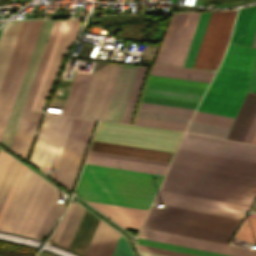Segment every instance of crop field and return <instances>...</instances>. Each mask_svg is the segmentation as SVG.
<instances>
[{"instance_id": "crop-field-1", "label": "crop field", "mask_w": 256, "mask_h": 256, "mask_svg": "<svg viewBox=\"0 0 256 256\" xmlns=\"http://www.w3.org/2000/svg\"><path fill=\"white\" fill-rule=\"evenodd\" d=\"M242 219L247 206L159 190L154 201ZM164 205L152 206L142 227L227 243L239 219ZM250 208V207H249Z\"/></svg>"}, {"instance_id": "crop-field-2", "label": "crop field", "mask_w": 256, "mask_h": 256, "mask_svg": "<svg viewBox=\"0 0 256 256\" xmlns=\"http://www.w3.org/2000/svg\"><path fill=\"white\" fill-rule=\"evenodd\" d=\"M162 177L85 164L76 194L87 201L147 209Z\"/></svg>"}, {"instance_id": "crop-field-3", "label": "crop field", "mask_w": 256, "mask_h": 256, "mask_svg": "<svg viewBox=\"0 0 256 256\" xmlns=\"http://www.w3.org/2000/svg\"><path fill=\"white\" fill-rule=\"evenodd\" d=\"M256 49L229 44L198 111L234 117L248 88Z\"/></svg>"}, {"instance_id": "crop-field-4", "label": "crop field", "mask_w": 256, "mask_h": 256, "mask_svg": "<svg viewBox=\"0 0 256 256\" xmlns=\"http://www.w3.org/2000/svg\"><path fill=\"white\" fill-rule=\"evenodd\" d=\"M57 191L27 170L0 229L34 238Z\"/></svg>"}, {"instance_id": "crop-field-5", "label": "crop field", "mask_w": 256, "mask_h": 256, "mask_svg": "<svg viewBox=\"0 0 256 256\" xmlns=\"http://www.w3.org/2000/svg\"><path fill=\"white\" fill-rule=\"evenodd\" d=\"M182 134L100 122L93 140L173 153Z\"/></svg>"}, {"instance_id": "crop-field-6", "label": "crop field", "mask_w": 256, "mask_h": 256, "mask_svg": "<svg viewBox=\"0 0 256 256\" xmlns=\"http://www.w3.org/2000/svg\"><path fill=\"white\" fill-rule=\"evenodd\" d=\"M73 118L46 114L29 162L53 177Z\"/></svg>"}, {"instance_id": "crop-field-7", "label": "crop field", "mask_w": 256, "mask_h": 256, "mask_svg": "<svg viewBox=\"0 0 256 256\" xmlns=\"http://www.w3.org/2000/svg\"><path fill=\"white\" fill-rule=\"evenodd\" d=\"M164 180L256 197V180L184 166L171 164Z\"/></svg>"}, {"instance_id": "crop-field-8", "label": "crop field", "mask_w": 256, "mask_h": 256, "mask_svg": "<svg viewBox=\"0 0 256 256\" xmlns=\"http://www.w3.org/2000/svg\"><path fill=\"white\" fill-rule=\"evenodd\" d=\"M95 122L93 120L73 119L53 177L70 191L75 182Z\"/></svg>"}, {"instance_id": "crop-field-9", "label": "crop field", "mask_w": 256, "mask_h": 256, "mask_svg": "<svg viewBox=\"0 0 256 256\" xmlns=\"http://www.w3.org/2000/svg\"><path fill=\"white\" fill-rule=\"evenodd\" d=\"M237 10L212 12L193 67L216 69L227 43Z\"/></svg>"}, {"instance_id": "crop-field-10", "label": "crop field", "mask_w": 256, "mask_h": 256, "mask_svg": "<svg viewBox=\"0 0 256 256\" xmlns=\"http://www.w3.org/2000/svg\"><path fill=\"white\" fill-rule=\"evenodd\" d=\"M120 66L95 63L79 117L104 119Z\"/></svg>"}, {"instance_id": "crop-field-11", "label": "crop field", "mask_w": 256, "mask_h": 256, "mask_svg": "<svg viewBox=\"0 0 256 256\" xmlns=\"http://www.w3.org/2000/svg\"><path fill=\"white\" fill-rule=\"evenodd\" d=\"M61 21H54L49 37L48 42L45 45L39 66L37 68L28 98L26 100L17 130L15 132L12 144L10 149H12L17 154L22 157H26L27 151L29 149L32 137L34 135L37 123L39 121L41 113L29 112L31 103L33 101L36 89L38 87L41 75L43 73L47 58L49 56L52 44L54 42L57 30L59 28Z\"/></svg>"}, {"instance_id": "crop-field-12", "label": "crop field", "mask_w": 256, "mask_h": 256, "mask_svg": "<svg viewBox=\"0 0 256 256\" xmlns=\"http://www.w3.org/2000/svg\"><path fill=\"white\" fill-rule=\"evenodd\" d=\"M171 163L256 179V163L196 151L178 148Z\"/></svg>"}, {"instance_id": "crop-field-13", "label": "crop field", "mask_w": 256, "mask_h": 256, "mask_svg": "<svg viewBox=\"0 0 256 256\" xmlns=\"http://www.w3.org/2000/svg\"><path fill=\"white\" fill-rule=\"evenodd\" d=\"M53 21H42L38 36L36 38L28 65L26 67L18 94L16 96L7 126L1 142L10 147L17 123L19 121L35 70L37 68L44 44L49 34Z\"/></svg>"}, {"instance_id": "crop-field-14", "label": "crop field", "mask_w": 256, "mask_h": 256, "mask_svg": "<svg viewBox=\"0 0 256 256\" xmlns=\"http://www.w3.org/2000/svg\"><path fill=\"white\" fill-rule=\"evenodd\" d=\"M180 148L256 162V146L185 133Z\"/></svg>"}, {"instance_id": "crop-field-15", "label": "crop field", "mask_w": 256, "mask_h": 256, "mask_svg": "<svg viewBox=\"0 0 256 256\" xmlns=\"http://www.w3.org/2000/svg\"><path fill=\"white\" fill-rule=\"evenodd\" d=\"M138 237L233 256H256V250L142 228Z\"/></svg>"}, {"instance_id": "crop-field-16", "label": "crop field", "mask_w": 256, "mask_h": 256, "mask_svg": "<svg viewBox=\"0 0 256 256\" xmlns=\"http://www.w3.org/2000/svg\"><path fill=\"white\" fill-rule=\"evenodd\" d=\"M82 19L66 20L63 30L61 32L55 53L53 55L47 76L45 78L39 99L37 101L34 111L41 112L45 99L54 83L61 59L74 40L80 26Z\"/></svg>"}, {"instance_id": "crop-field-17", "label": "crop field", "mask_w": 256, "mask_h": 256, "mask_svg": "<svg viewBox=\"0 0 256 256\" xmlns=\"http://www.w3.org/2000/svg\"><path fill=\"white\" fill-rule=\"evenodd\" d=\"M138 67L122 65L104 120L121 121Z\"/></svg>"}, {"instance_id": "crop-field-18", "label": "crop field", "mask_w": 256, "mask_h": 256, "mask_svg": "<svg viewBox=\"0 0 256 256\" xmlns=\"http://www.w3.org/2000/svg\"><path fill=\"white\" fill-rule=\"evenodd\" d=\"M160 189L209 198V199H215V200H220L225 202H231V203H236L241 205H247V206H250L252 201L254 200L253 197H247V196H242L237 194L209 190V189L182 185V184L166 182V181H163Z\"/></svg>"}, {"instance_id": "crop-field-19", "label": "crop field", "mask_w": 256, "mask_h": 256, "mask_svg": "<svg viewBox=\"0 0 256 256\" xmlns=\"http://www.w3.org/2000/svg\"><path fill=\"white\" fill-rule=\"evenodd\" d=\"M87 202V201H86ZM123 228L138 230L147 210L88 202Z\"/></svg>"}, {"instance_id": "crop-field-20", "label": "crop field", "mask_w": 256, "mask_h": 256, "mask_svg": "<svg viewBox=\"0 0 256 256\" xmlns=\"http://www.w3.org/2000/svg\"><path fill=\"white\" fill-rule=\"evenodd\" d=\"M187 14H172L155 62L171 63Z\"/></svg>"}, {"instance_id": "crop-field-21", "label": "crop field", "mask_w": 256, "mask_h": 256, "mask_svg": "<svg viewBox=\"0 0 256 256\" xmlns=\"http://www.w3.org/2000/svg\"><path fill=\"white\" fill-rule=\"evenodd\" d=\"M120 234L100 221L85 256H110Z\"/></svg>"}, {"instance_id": "crop-field-22", "label": "crop field", "mask_w": 256, "mask_h": 256, "mask_svg": "<svg viewBox=\"0 0 256 256\" xmlns=\"http://www.w3.org/2000/svg\"><path fill=\"white\" fill-rule=\"evenodd\" d=\"M255 32L256 6L239 9L230 42L251 46Z\"/></svg>"}, {"instance_id": "crop-field-23", "label": "crop field", "mask_w": 256, "mask_h": 256, "mask_svg": "<svg viewBox=\"0 0 256 256\" xmlns=\"http://www.w3.org/2000/svg\"><path fill=\"white\" fill-rule=\"evenodd\" d=\"M256 113V93L248 92L226 139L243 141Z\"/></svg>"}, {"instance_id": "crop-field-24", "label": "crop field", "mask_w": 256, "mask_h": 256, "mask_svg": "<svg viewBox=\"0 0 256 256\" xmlns=\"http://www.w3.org/2000/svg\"><path fill=\"white\" fill-rule=\"evenodd\" d=\"M89 150L169 162L170 153L93 141Z\"/></svg>"}, {"instance_id": "crop-field-25", "label": "crop field", "mask_w": 256, "mask_h": 256, "mask_svg": "<svg viewBox=\"0 0 256 256\" xmlns=\"http://www.w3.org/2000/svg\"><path fill=\"white\" fill-rule=\"evenodd\" d=\"M90 76L91 75L89 74L75 73L62 114L76 117L79 116Z\"/></svg>"}, {"instance_id": "crop-field-26", "label": "crop field", "mask_w": 256, "mask_h": 256, "mask_svg": "<svg viewBox=\"0 0 256 256\" xmlns=\"http://www.w3.org/2000/svg\"><path fill=\"white\" fill-rule=\"evenodd\" d=\"M23 21L8 22L0 36V85Z\"/></svg>"}, {"instance_id": "crop-field-27", "label": "crop field", "mask_w": 256, "mask_h": 256, "mask_svg": "<svg viewBox=\"0 0 256 256\" xmlns=\"http://www.w3.org/2000/svg\"><path fill=\"white\" fill-rule=\"evenodd\" d=\"M99 221L100 219L85 211L68 249L83 255Z\"/></svg>"}, {"instance_id": "crop-field-28", "label": "crop field", "mask_w": 256, "mask_h": 256, "mask_svg": "<svg viewBox=\"0 0 256 256\" xmlns=\"http://www.w3.org/2000/svg\"><path fill=\"white\" fill-rule=\"evenodd\" d=\"M85 163L101 165V166H108V167H115V168H123V169L148 172V173H154V174H160V175H163L167 168L164 166H157V165H151V164L137 163V162H131V161L104 158V157H97V156H91V155L87 156Z\"/></svg>"}, {"instance_id": "crop-field-29", "label": "crop field", "mask_w": 256, "mask_h": 256, "mask_svg": "<svg viewBox=\"0 0 256 256\" xmlns=\"http://www.w3.org/2000/svg\"><path fill=\"white\" fill-rule=\"evenodd\" d=\"M41 21H42V20H39V21L36 22V25H35V28H34V30H33V33H32L31 39H30V42H29V44H28V47H27L25 56H24V58H23V61H22L20 70H19V72H18V75H17L16 81H15L14 87H13V89H12V92H11V95H10V98H9V101H8V103H7V106H6L4 115H3V117H2V120H1V123H0V140H1V137H2V134H3V131H4V128H5V126H6V123H7V120H8V117H9V114H10V111H11V108H12V105H13V102H14V99H15V96H16V94H17V91H18V88H19V85H20V82H21V79H22V76H23L25 67H26V65H27V62H28V59H29V56H30V53H31V50H32V47H33V44H34V41H35V38H36V35H37V33H38V30H39ZM37 36H38V35H37Z\"/></svg>"}, {"instance_id": "crop-field-30", "label": "crop field", "mask_w": 256, "mask_h": 256, "mask_svg": "<svg viewBox=\"0 0 256 256\" xmlns=\"http://www.w3.org/2000/svg\"><path fill=\"white\" fill-rule=\"evenodd\" d=\"M200 13H189L171 64L183 65Z\"/></svg>"}, {"instance_id": "crop-field-31", "label": "crop field", "mask_w": 256, "mask_h": 256, "mask_svg": "<svg viewBox=\"0 0 256 256\" xmlns=\"http://www.w3.org/2000/svg\"><path fill=\"white\" fill-rule=\"evenodd\" d=\"M35 22H36V21H29V22H28V25H27V28H26V31H25L23 40H22V42H21V45H20V48H19V51H18L16 60H15V63H14V66H13V69H12V72H11V75H10V78H9V80H8V83H7V86H6V89H5V92H4V95H3V98H2L1 104H0V120H1V117H2V115H3V112H4V109H5L6 103H7V101H8V98H9V95H10V92H11V89H12V87H13V84H14V81H15V78H16V75H17V72H18V70H19V67H20L22 58H23V56H24V53H25L27 44H28V42H29V39H30L32 30H33V28H34Z\"/></svg>"}, {"instance_id": "crop-field-32", "label": "crop field", "mask_w": 256, "mask_h": 256, "mask_svg": "<svg viewBox=\"0 0 256 256\" xmlns=\"http://www.w3.org/2000/svg\"><path fill=\"white\" fill-rule=\"evenodd\" d=\"M209 16H210V13H201L200 14V17H199V20H198V23H197V26H196V29H195V32H194V35H193V38H192V41H191V44H190V47H189V50H188V53H187V56H186L183 66H188V67L193 66V61L195 60V57H196L200 42L202 40Z\"/></svg>"}, {"instance_id": "crop-field-33", "label": "crop field", "mask_w": 256, "mask_h": 256, "mask_svg": "<svg viewBox=\"0 0 256 256\" xmlns=\"http://www.w3.org/2000/svg\"><path fill=\"white\" fill-rule=\"evenodd\" d=\"M84 211L85 209L82 208L79 204L77 203L75 204L70 214V217L63 229V232L57 242V245H60L66 248L68 247Z\"/></svg>"}, {"instance_id": "crop-field-34", "label": "crop field", "mask_w": 256, "mask_h": 256, "mask_svg": "<svg viewBox=\"0 0 256 256\" xmlns=\"http://www.w3.org/2000/svg\"><path fill=\"white\" fill-rule=\"evenodd\" d=\"M139 111L190 118L194 110L142 102Z\"/></svg>"}, {"instance_id": "crop-field-35", "label": "crop field", "mask_w": 256, "mask_h": 256, "mask_svg": "<svg viewBox=\"0 0 256 256\" xmlns=\"http://www.w3.org/2000/svg\"><path fill=\"white\" fill-rule=\"evenodd\" d=\"M147 68L139 67L121 122L129 123Z\"/></svg>"}, {"instance_id": "crop-field-36", "label": "crop field", "mask_w": 256, "mask_h": 256, "mask_svg": "<svg viewBox=\"0 0 256 256\" xmlns=\"http://www.w3.org/2000/svg\"><path fill=\"white\" fill-rule=\"evenodd\" d=\"M62 194H63L62 192L58 191V193L48 211V214H47V216L37 234V238H42L43 235L48 231L50 226L53 224V221L61 215L65 205L58 203V201Z\"/></svg>"}, {"instance_id": "crop-field-37", "label": "crop field", "mask_w": 256, "mask_h": 256, "mask_svg": "<svg viewBox=\"0 0 256 256\" xmlns=\"http://www.w3.org/2000/svg\"><path fill=\"white\" fill-rule=\"evenodd\" d=\"M228 129L227 127L191 121L186 131L224 138Z\"/></svg>"}, {"instance_id": "crop-field-38", "label": "crop field", "mask_w": 256, "mask_h": 256, "mask_svg": "<svg viewBox=\"0 0 256 256\" xmlns=\"http://www.w3.org/2000/svg\"><path fill=\"white\" fill-rule=\"evenodd\" d=\"M147 87L171 90V91H178V92H185V93H192V94H199V95H202L205 90V88H203V87L188 86V85L159 82V81H152V80H149Z\"/></svg>"}, {"instance_id": "crop-field-39", "label": "crop field", "mask_w": 256, "mask_h": 256, "mask_svg": "<svg viewBox=\"0 0 256 256\" xmlns=\"http://www.w3.org/2000/svg\"><path fill=\"white\" fill-rule=\"evenodd\" d=\"M144 95L181 100V101H187V102H194V103H198V101L201 98V96L199 95H192V94H185V93H178V92H171V91H164V90H157V89H150V88L146 89Z\"/></svg>"}, {"instance_id": "crop-field-40", "label": "crop field", "mask_w": 256, "mask_h": 256, "mask_svg": "<svg viewBox=\"0 0 256 256\" xmlns=\"http://www.w3.org/2000/svg\"><path fill=\"white\" fill-rule=\"evenodd\" d=\"M137 239L139 244H144V245H149V246H154V247H159V248H164L169 250H175V251H180V252H185V253H190V254H195L200 256H227V255L201 251V250H196V249H191V248H186L181 246H175V245H170V244H165V243H160L155 241H149V240H144L139 238Z\"/></svg>"}, {"instance_id": "crop-field-41", "label": "crop field", "mask_w": 256, "mask_h": 256, "mask_svg": "<svg viewBox=\"0 0 256 256\" xmlns=\"http://www.w3.org/2000/svg\"><path fill=\"white\" fill-rule=\"evenodd\" d=\"M192 120L229 127L233 118L196 111Z\"/></svg>"}, {"instance_id": "crop-field-42", "label": "crop field", "mask_w": 256, "mask_h": 256, "mask_svg": "<svg viewBox=\"0 0 256 256\" xmlns=\"http://www.w3.org/2000/svg\"><path fill=\"white\" fill-rule=\"evenodd\" d=\"M236 238L246 240L256 244V219L247 216L242 227L237 233Z\"/></svg>"}, {"instance_id": "crop-field-43", "label": "crop field", "mask_w": 256, "mask_h": 256, "mask_svg": "<svg viewBox=\"0 0 256 256\" xmlns=\"http://www.w3.org/2000/svg\"><path fill=\"white\" fill-rule=\"evenodd\" d=\"M135 124L166 128V129H172V130H179V131H184L187 125L183 123L165 122V121L152 120V119H146V118H140V117L136 118Z\"/></svg>"}, {"instance_id": "crop-field-44", "label": "crop field", "mask_w": 256, "mask_h": 256, "mask_svg": "<svg viewBox=\"0 0 256 256\" xmlns=\"http://www.w3.org/2000/svg\"><path fill=\"white\" fill-rule=\"evenodd\" d=\"M27 22H28V21H24V22H23V25H22V28H21V30H20V33H19V36H18L16 45H15V48H14V50H13V53H12V56H11V59H10V62H9V65H8V67H7V70H6V73H5V76H4L2 85H1V87H0V101H1V98H2V95H3V92H4V89H5V86H6L8 77H9V75H10V72H11V69H12V66H13V63H14V60H15V57H16V54H17V51H18V48H19V45H20V42H21V39H22V37H23V34H24V31H25Z\"/></svg>"}, {"instance_id": "crop-field-45", "label": "crop field", "mask_w": 256, "mask_h": 256, "mask_svg": "<svg viewBox=\"0 0 256 256\" xmlns=\"http://www.w3.org/2000/svg\"><path fill=\"white\" fill-rule=\"evenodd\" d=\"M26 169H27L26 167L22 166V168H21V170H20V172H19V174H18V176H17V178H16V180H15V182H14V184H13V186H12V188H11V190H10V192H9V194H8L6 200H5V202H4V204L1 208V210H0V224L3 220V218H4V215H5L7 209L10 205V202H11V200H12V198H13L15 192H16V189H17V187H18Z\"/></svg>"}, {"instance_id": "crop-field-46", "label": "crop field", "mask_w": 256, "mask_h": 256, "mask_svg": "<svg viewBox=\"0 0 256 256\" xmlns=\"http://www.w3.org/2000/svg\"><path fill=\"white\" fill-rule=\"evenodd\" d=\"M153 68L169 70V71H176V72H183V73H189V74H196V75H203V76H209V77H212L213 73H214L211 71H203V70H196V69L183 68V67H177V66H169V65H159V64H154Z\"/></svg>"}, {"instance_id": "crop-field-47", "label": "crop field", "mask_w": 256, "mask_h": 256, "mask_svg": "<svg viewBox=\"0 0 256 256\" xmlns=\"http://www.w3.org/2000/svg\"><path fill=\"white\" fill-rule=\"evenodd\" d=\"M142 101L151 102V103H158V104H165V105H171V106H178V107H185V108H191V109H194L195 106H196V104H194V103H187V102H181V101L160 99V98L147 97V96H144Z\"/></svg>"}, {"instance_id": "crop-field-48", "label": "crop field", "mask_w": 256, "mask_h": 256, "mask_svg": "<svg viewBox=\"0 0 256 256\" xmlns=\"http://www.w3.org/2000/svg\"><path fill=\"white\" fill-rule=\"evenodd\" d=\"M88 154H91V155H98V156H104V157H111V158H118V159H124V160H131V161H138V162H144V163L158 164V165H164V166H167V165H168V163H166V162H159V161H153V160H146V159H139V158L126 157V156L105 154V153L92 152V151H89Z\"/></svg>"}, {"instance_id": "crop-field-49", "label": "crop field", "mask_w": 256, "mask_h": 256, "mask_svg": "<svg viewBox=\"0 0 256 256\" xmlns=\"http://www.w3.org/2000/svg\"><path fill=\"white\" fill-rule=\"evenodd\" d=\"M64 21H65V20H64ZM64 21H62V22H61L60 28H59V30H58V33H57V36H56V39H55V42H54L53 48H52V50H51V53H50V56H49V59H48L47 65H46V67H45V70H44V73H43V76H42L41 82H40V84H39V87H38V90H37V93H36V96H35L34 102H33L32 107H31V110H32V111L34 110V107H35L36 101H37V99H38V96H39V93H40V90H41V87H42V84H43L44 78H45V76H46V73H47V70H48V67H49V64H50V61H51L52 55H53V53H54V50H55V47H56V44H57V41H58V38H59L60 32H61V30H62V27H63Z\"/></svg>"}, {"instance_id": "crop-field-50", "label": "crop field", "mask_w": 256, "mask_h": 256, "mask_svg": "<svg viewBox=\"0 0 256 256\" xmlns=\"http://www.w3.org/2000/svg\"><path fill=\"white\" fill-rule=\"evenodd\" d=\"M111 256H133L124 237L120 236Z\"/></svg>"}, {"instance_id": "crop-field-51", "label": "crop field", "mask_w": 256, "mask_h": 256, "mask_svg": "<svg viewBox=\"0 0 256 256\" xmlns=\"http://www.w3.org/2000/svg\"><path fill=\"white\" fill-rule=\"evenodd\" d=\"M13 158L0 150V184L12 162Z\"/></svg>"}, {"instance_id": "crop-field-52", "label": "crop field", "mask_w": 256, "mask_h": 256, "mask_svg": "<svg viewBox=\"0 0 256 256\" xmlns=\"http://www.w3.org/2000/svg\"><path fill=\"white\" fill-rule=\"evenodd\" d=\"M149 79L159 80V81H167V82H174V83H181V84H188V85L203 86V87H207V85H208V83H205V82L185 81V80L166 78V77H160V76H154V75H151Z\"/></svg>"}, {"instance_id": "crop-field-53", "label": "crop field", "mask_w": 256, "mask_h": 256, "mask_svg": "<svg viewBox=\"0 0 256 256\" xmlns=\"http://www.w3.org/2000/svg\"><path fill=\"white\" fill-rule=\"evenodd\" d=\"M137 116L188 123L189 119L139 112Z\"/></svg>"}, {"instance_id": "crop-field-54", "label": "crop field", "mask_w": 256, "mask_h": 256, "mask_svg": "<svg viewBox=\"0 0 256 256\" xmlns=\"http://www.w3.org/2000/svg\"><path fill=\"white\" fill-rule=\"evenodd\" d=\"M138 247L142 251H148V252L164 254V255H169V256H193V255L182 254V253H177V252H172V251H167V250H161V249H156V248H151V247H145V246H140V245H138Z\"/></svg>"}, {"instance_id": "crop-field-55", "label": "crop field", "mask_w": 256, "mask_h": 256, "mask_svg": "<svg viewBox=\"0 0 256 256\" xmlns=\"http://www.w3.org/2000/svg\"><path fill=\"white\" fill-rule=\"evenodd\" d=\"M73 205H74V202H71V204H70V206H69L67 212L65 213V215H64V217H63V219H62V221H61V223H60V225H59V228H58V230H57V232H56V234H55V236H54V238H53V241H54V242L57 241V239H58V237H59V235H60V233H61V231H62V228H63V226H64V224H65V222H66V220H67V218H68V215H69V213H70V211H71Z\"/></svg>"}, {"instance_id": "crop-field-56", "label": "crop field", "mask_w": 256, "mask_h": 256, "mask_svg": "<svg viewBox=\"0 0 256 256\" xmlns=\"http://www.w3.org/2000/svg\"><path fill=\"white\" fill-rule=\"evenodd\" d=\"M249 91L256 92V61H255V65H254V70H253V75H252Z\"/></svg>"}, {"instance_id": "crop-field-57", "label": "crop field", "mask_w": 256, "mask_h": 256, "mask_svg": "<svg viewBox=\"0 0 256 256\" xmlns=\"http://www.w3.org/2000/svg\"><path fill=\"white\" fill-rule=\"evenodd\" d=\"M141 253H142L143 256H163V255H158V254H153V253H147V252H142V251H141Z\"/></svg>"}, {"instance_id": "crop-field-58", "label": "crop field", "mask_w": 256, "mask_h": 256, "mask_svg": "<svg viewBox=\"0 0 256 256\" xmlns=\"http://www.w3.org/2000/svg\"><path fill=\"white\" fill-rule=\"evenodd\" d=\"M250 143L256 144V132H255V134H254V136H253V138H252Z\"/></svg>"}, {"instance_id": "crop-field-59", "label": "crop field", "mask_w": 256, "mask_h": 256, "mask_svg": "<svg viewBox=\"0 0 256 256\" xmlns=\"http://www.w3.org/2000/svg\"><path fill=\"white\" fill-rule=\"evenodd\" d=\"M249 216L256 218V211L251 210V212L249 213Z\"/></svg>"}, {"instance_id": "crop-field-60", "label": "crop field", "mask_w": 256, "mask_h": 256, "mask_svg": "<svg viewBox=\"0 0 256 256\" xmlns=\"http://www.w3.org/2000/svg\"><path fill=\"white\" fill-rule=\"evenodd\" d=\"M206 1H211V2H227V1H222V0H206Z\"/></svg>"}, {"instance_id": "crop-field-61", "label": "crop field", "mask_w": 256, "mask_h": 256, "mask_svg": "<svg viewBox=\"0 0 256 256\" xmlns=\"http://www.w3.org/2000/svg\"><path fill=\"white\" fill-rule=\"evenodd\" d=\"M252 46L256 47V35Z\"/></svg>"}, {"instance_id": "crop-field-62", "label": "crop field", "mask_w": 256, "mask_h": 256, "mask_svg": "<svg viewBox=\"0 0 256 256\" xmlns=\"http://www.w3.org/2000/svg\"><path fill=\"white\" fill-rule=\"evenodd\" d=\"M0 256H6V255H1V254H0Z\"/></svg>"}, {"instance_id": "crop-field-63", "label": "crop field", "mask_w": 256, "mask_h": 256, "mask_svg": "<svg viewBox=\"0 0 256 256\" xmlns=\"http://www.w3.org/2000/svg\"><path fill=\"white\" fill-rule=\"evenodd\" d=\"M1 30H2V28L0 29V33H1Z\"/></svg>"}]
</instances>
